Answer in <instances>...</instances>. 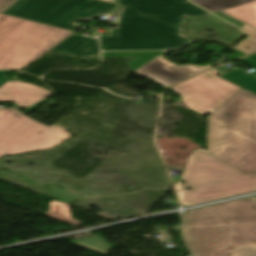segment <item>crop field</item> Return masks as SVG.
<instances>
[{
    "label": "crop field",
    "mask_w": 256,
    "mask_h": 256,
    "mask_svg": "<svg viewBox=\"0 0 256 256\" xmlns=\"http://www.w3.org/2000/svg\"><path fill=\"white\" fill-rule=\"evenodd\" d=\"M47 101H49V100L45 99V100H43V101L37 103L36 105H34V106H32V107H30V108H28V109H26V110L30 111V110H32V109L38 107L39 105H41V104L47 102ZM39 107H40V106H39Z\"/></svg>",
    "instance_id": "26"
},
{
    "label": "crop field",
    "mask_w": 256,
    "mask_h": 256,
    "mask_svg": "<svg viewBox=\"0 0 256 256\" xmlns=\"http://www.w3.org/2000/svg\"><path fill=\"white\" fill-rule=\"evenodd\" d=\"M49 206L50 210L46 212V215L48 217L61 221L70 226L83 224L82 222L72 218L71 208L69 204L53 200L49 203Z\"/></svg>",
    "instance_id": "15"
},
{
    "label": "crop field",
    "mask_w": 256,
    "mask_h": 256,
    "mask_svg": "<svg viewBox=\"0 0 256 256\" xmlns=\"http://www.w3.org/2000/svg\"><path fill=\"white\" fill-rule=\"evenodd\" d=\"M215 14L220 16V17H222V18H224V19H226V20H228V21H230V22H232V23H234V24H236L239 27H243V25H244L243 23H241V22H239V21H237V20H235V19H233V18H231V17H229V16H227L225 14H222L220 12L215 13Z\"/></svg>",
    "instance_id": "22"
},
{
    "label": "crop field",
    "mask_w": 256,
    "mask_h": 256,
    "mask_svg": "<svg viewBox=\"0 0 256 256\" xmlns=\"http://www.w3.org/2000/svg\"><path fill=\"white\" fill-rule=\"evenodd\" d=\"M250 37H252L253 39L256 40V29L248 26V25H244V27L242 28Z\"/></svg>",
    "instance_id": "23"
},
{
    "label": "crop field",
    "mask_w": 256,
    "mask_h": 256,
    "mask_svg": "<svg viewBox=\"0 0 256 256\" xmlns=\"http://www.w3.org/2000/svg\"><path fill=\"white\" fill-rule=\"evenodd\" d=\"M168 53L167 51L103 52V57L137 56L135 59H138V61L133 59L128 62L131 69L135 71L157 56L161 55L164 57Z\"/></svg>",
    "instance_id": "14"
},
{
    "label": "crop field",
    "mask_w": 256,
    "mask_h": 256,
    "mask_svg": "<svg viewBox=\"0 0 256 256\" xmlns=\"http://www.w3.org/2000/svg\"><path fill=\"white\" fill-rule=\"evenodd\" d=\"M221 12L256 28V1Z\"/></svg>",
    "instance_id": "16"
},
{
    "label": "crop field",
    "mask_w": 256,
    "mask_h": 256,
    "mask_svg": "<svg viewBox=\"0 0 256 256\" xmlns=\"http://www.w3.org/2000/svg\"><path fill=\"white\" fill-rule=\"evenodd\" d=\"M184 233L195 256H256V197L188 211Z\"/></svg>",
    "instance_id": "1"
},
{
    "label": "crop field",
    "mask_w": 256,
    "mask_h": 256,
    "mask_svg": "<svg viewBox=\"0 0 256 256\" xmlns=\"http://www.w3.org/2000/svg\"><path fill=\"white\" fill-rule=\"evenodd\" d=\"M223 49H225V47L219 46V45H214V44L208 45V46L206 47V51L218 52V53H222ZM227 49H228V48H227ZM229 50L236 52V53H234V54L228 56V57H229L230 59H232V60H234V59H236V58H239V57H241V56L246 55V54H244V53H242V52H240V51H238V50H236V49H234V48H231V49H229Z\"/></svg>",
    "instance_id": "20"
},
{
    "label": "crop field",
    "mask_w": 256,
    "mask_h": 256,
    "mask_svg": "<svg viewBox=\"0 0 256 256\" xmlns=\"http://www.w3.org/2000/svg\"><path fill=\"white\" fill-rule=\"evenodd\" d=\"M51 52L87 58L89 55L99 56V50L95 39L71 35L64 39Z\"/></svg>",
    "instance_id": "12"
},
{
    "label": "crop field",
    "mask_w": 256,
    "mask_h": 256,
    "mask_svg": "<svg viewBox=\"0 0 256 256\" xmlns=\"http://www.w3.org/2000/svg\"><path fill=\"white\" fill-rule=\"evenodd\" d=\"M69 137L56 124L47 127L13 108H0V157L49 149Z\"/></svg>",
    "instance_id": "6"
},
{
    "label": "crop field",
    "mask_w": 256,
    "mask_h": 256,
    "mask_svg": "<svg viewBox=\"0 0 256 256\" xmlns=\"http://www.w3.org/2000/svg\"><path fill=\"white\" fill-rule=\"evenodd\" d=\"M119 26L110 36H101L104 51L115 50H179L194 42L180 35L181 29L142 13L119 7L114 14Z\"/></svg>",
    "instance_id": "4"
},
{
    "label": "crop field",
    "mask_w": 256,
    "mask_h": 256,
    "mask_svg": "<svg viewBox=\"0 0 256 256\" xmlns=\"http://www.w3.org/2000/svg\"><path fill=\"white\" fill-rule=\"evenodd\" d=\"M175 185L182 189L177 192L182 206H189L256 192V174H244L207 151L197 150ZM186 187L192 189L185 191Z\"/></svg>",
    "instance_id": "3"
},
{
    "label": "crop field",
    "mask_w": 256,
    "mask_h": 256,
    "mask_svg": "<svg viewBox=\"0 0 256 256\" xmlns=\"http://www.w3.org/2000/svg\"><path fill=\"white\" fill-rule=\"evenodd\" d=\"M256 69V54L239 60ZM243 71L236 69L221 75L220 77L256 94V77L242 73ZM256 76V71L251 73Z\"/></svg>",
    "instance_id": "13"
},
{
    "label": "crop field",
    "mask_w": 256,
    "mask_h": 256,
    "mask_svg": "<svg viewBox=\"0 0 256 256\" xmlns=\"http://www.w3.org/2000/svg\"><path fill=\"white\" fill-rule=\"evenodd\" d=\"M202 7L215 12L218 10H225L231 7L249 3L255 0H191Z\"/></svg>",
    "instance_id": "18"
},
{
    "label": "crop field",
    "mask_w": 256,
    "mask_h": 256,
    "mask_svg": "<svg viewBox=\"0 0 256 256\" xmlns=\"http://www.w3.org/2000/svg\"><path fill=\"white\" fill-rule=\"evenodd\" d=\"M246 47L250 48L249 50L246 49ZM246 54H249L256 50V42L252 41L251 39L247 38L241 42H239V45L237 47H234Z\"/></svg>",
    "instance_id": "21"
},
{
    "label": "crop field",
    "mask_w": 256,
    "mask_h": 256,
    "mask_svg": "<svg viewBox=\"0 0 256 256\" xmlns=\"http://www.w3.org/2000/svg\"><path fill=\"white\" fill-rule=\"evenodd\" d=\"M7 72L0 71V85L3 84L8 78H4Z\"/></svg>",
    "instance_id": "25"
},
{
    "label": "crop field",
    "mask_w": 256,
    "mask_h": 256,
    "mask_svg": "<svg viewBox=\"0 0 256 256\" xmlns=\"http://www.w3.org/2000/svg\"><path fill=\"white\" fill-rule=\"evenodd\" d=\"M72 33L0 14V69L20 70Z\"/></svg>",
    "instance_id": "5"
},
{
    "label": "crop field",
    "mask_w": 256,
    "mask_h": 256,
    "mask_svg": "<svg viewBox=\"0 0 256 256\" xmlns=\"http://www.w3.org/2000/svg\"><path fill=\"white\" fill-rule=\"evenodd\" d=\"M19 179H23V180H27V181H30L32 183H36V184H39L38 182L36 181H33V180H30V179H27L25 177H19ZM43 185V184H42ZM46 186V185H45ZM48 187H51V186H48ZM53 190H52V193L54 195V198L56 200H59V201H63V202H66V203H71L73 200H76L78 198H81L83 196L81 195H78L76 193H73V192H70L68 191V193H64L65 191L67 190H64V189H61V188H57V187H51Z\"/></svg>",
    "instance_id": "19"
},
{
    "label": "crop field",
    "mask_w": 256,
    "mask_h": 256,
    "mask_svg": "<svg viewBox=\"0 0 256 256\" xmlns=\"http://www.w3.org/2000/svg\"><path fill=\"white\" fill-rule=\"evenodd\" d=\"M73 244L85 249L106 255L113 247L100 236H92L72 241Z\"/></svg>",
    "instance_id": "17"
},
{
    "label": "crop field",
    "mask_w": 256,
    "mask_h": 256,
    "mask_svg": "<svg viewBox=\"0 0 256 256\" xmlns=\"http://www.w3.org/2000/svg\"><path fill=\"white\" fill-rule=\"evenodd\" d=\"M176 65L159 56L144 67H140L141 69L135 73L151 78L168 87L205 69L213 68L210 64L207 66L185 65L179 67Z\"/></svg>",
    "instance_id": "10"
},
{
    "label": "crop field",
    "mask_w": 256,
    "mask_h": 256,
    "mask_svg": "<svg viewBox=\"0 0 256 256\" xmlns=\"http://www.w3.org/2000/svg\"><path fill=\"white\" fill-rule=\"evenodd\" d=\"M216 69L183 82L172 89L183 96L182 101L192 110L206 115L213 112L242 88L220 78Z\"/></svg>",
    "instance_id": "8"
},
{
    "label": "crop field",
    "mask_w": 256,
    "mask_h": 256,
    "mask_svg": "<svg viewBox=\"0 0 256 256\" xmlns=\"http://www.w3.org/2000/svg\"><path fill=\"white\" fill-rule=\"evenodd\" d=\"M105 1L113 2V3L115 2V0H105Z\"/></svg>",
    "instance_id": "27"
},
{
    "label": "crop field",
    "mask_w": 256,
    "mask_h": 256,
    "mask_svg": "<svg viewBox=\"0 0 256 256\" xmlns=\"http://www.w3.org/2000/svg\"><path fill=\"white\" fill-rule=\"evenodd\" d=\"M114 7L100 0H17L3 13L76 31V20H94Z\"/></svg>",
    "instance_id": "7"
},
{
    "label": "crop field",
    "mask_w": 256,
    "mask_h": 256,
    "mask_svg": "<svg viewBox=\"0 0 256 256\" xmlns=\"http://www.w3.org/2000/svg\"><path fill=\"white\" fill-rule=\"evenodd\" d=\"M207 138L208 152L244 173H256V95L243 89L210 114Z\"/></svg>",
    "instance_id": "2"
},
{
    "label": "crop field",
    "mask_w": 256,
    "mask_h": 256,
    "mask_svg": "<svg viewBox=\"0 0 256 256\" xmlns=\"http://www.w3.org/2000/svg\"><path fill=\"white\" fill-rule=\"evenodd\" d=\"M15 1L16 0H0V12H3L5 9H7Z\"/></svg>",
    "instance_id": "24"
},
{
    "label": "crop field",
    "mask_w": 256,
    "mask_h": 256,
    "mask_svg": "<svg viewBox=\"0 0 256 256\" xmlns=\"http://www.w3.org/2000/svg\"><path fill=\"white\" fill-rule=\"evenodd\" d=\"M120 5L142 12L181 28L185 15L203 16L209 12L187 0H119Z\"/></svg>",
    "instance_id": "9"
},
{
    "label": "crop field",
    "mask_w": 256,
    "mask_h": 256,
    "mask_svg": "<svg viewBox=\"0 0 256 256\" xmlns=\"http://www.w3.org/2000/svg\"><path fill=\"white\" fill-rule=\"evenodd\" d=\"M51 92L32 84L8 80L0 86V102H13L17 107H29Z\"/></svg>",
    "instance_id": "11"
}]
</instances>
